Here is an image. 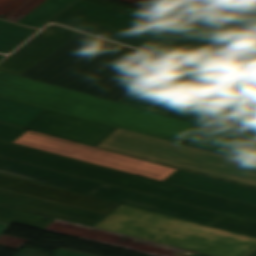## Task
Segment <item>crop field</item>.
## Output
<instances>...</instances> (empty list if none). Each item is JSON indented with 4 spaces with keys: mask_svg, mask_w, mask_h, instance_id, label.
Segmentation results:
<instances>
[{
    "mask_svg": "<svg viewBox=\"0 0 256 256\" xmlns=\"http://www.w3.org/2000/svg\"><path fill=\"white\" fill-rule=\"evenodd\" d=\"M21 76L164 115L221 77L83 33Z\"/></svg>",
    "mask_w": 256,
    "mask_h": 256,
    "instance_id": "obj_1",
    "label": "crop field"
},
{
    "mask_svg": "<svg viewBox=\"0 0 256 256\" xmlns=\"http://www.w3.org/2000/svg\"><path fill=\"white\" fill-rule=\"evenodd\" d=\"M0 96L171 141L194 138L207 128L3 71Z\"/></svg>",
    "mask_w": 256,
    "mask_h": 256,
    "instance_id": "obj_2",
    "label": "crop field"
},
{
    "mask_svg": "<svg viewBox=\"0 0 256 256\" xmlns=\"http://www.w3.org/2000/svg\"><path fill=\"white\" fill-rule=\"evenodd\" d=\"M96 228L211 256H248L256 239L121 205Z\"/></svg>",
    "mask_w": 256,
    "mask_h": 256,
    "instance_id": "obj_3",
    "label": "crop field"
},
{
    "mask_svg": "<svg viewBox=\"0 0 256 256\" xmlns=\"http://www.w3.org/2000/svg\"><path fill=\"white\" fill-rule=\"evenodd\" d=\"M0 156L28 162L195 206L256 220V206L246 205L98 165L0 140Z\"/></svg>",
    "mask_w": 256,
    "mask_h": 256,
    "instance_id": "obj_4",
    "label": "crop field"
},
{
    "mask_svg": "<svg viewBox=\"0 0 256 256\" xmlns=\"http://www.w3.org/2000/svg\"><path fill=\"white\" fill-rule=\"evenodd\" d=\"M131 15L190 34L157 53L256 82V45L142 7Z\"/></svg>",
    "mask_w": 256,
    "mask_h": 256,
    "instance_id": "obj_5",
    "label": "crop field"
},
{
    "mask_svg": "<svg viewBox=\"0 0 256 256\" xmlns=\"http://www.w3.org/2000/svg\"><path fill=\"white\" fill-rule=\"evenodd\" d=\"M98 147L256 187V165L118 128Z\"/></svg>",
    "mask_w": 256,
    "mask_h": 256,
    "instance_id": "obj_6",
    "label": "crop field"
},
{
    "mask_svg": "<svg viewBox=\"0 0 256 256\" xmlns=\"http://www.w3.org/2000/svg\"><path fill=\"white\" fill-rule=\"evenodd\" d=\"M0 173L211 225L221 214L0 158Z\"/></svg>",
    "mask_w": 256,
    "mask_h": 256,
    "instance_id": "obj_7",
    "label": "crop field"
},
{
    "mask_svg": "<svg viewBox=\"0 0 256 256\" xmlns=\"http://www.w3.org/2000/svg\"><path fill=\"white\" fill-rule=\"evenodd\" d=\"M53 21L158 51L188 34L80 0Z\"/></svg>",
    "mask_w": 256,
    "mask_h": 256,
    "instance_id": "obj_8",
    "label": "crop field"
},
{
    "mask_svg": "<svg viewBox=\"0 0 256 256\" xmlns=\"http://www.w3.org/2000/svg\"><path fill=\"white\" fill-rule=\"evenodd\" d=\"M13 143L160 181H164L176 171V169L67 142L30 131L16 139Z\"/></svg>",
    "mask_w": 256,
    "mask_h": 256,
    "instance_id": "obj_9",
    "label": "crop field"
},
{
    "mask_svg": "<svg viewBox=\"0 0 256 256\" xmlns=\"http://www.w3.org/2000/svg\"><path fill=\"white\" fill-rule=\"evenodd\" d=\"M256 93V87L220 78L167 116L208 126Z\"/></svg>",
    "mask_w": 256,
    "mask_h": 256,
    "instance_id": "obj_10",
    "label": "crop field"
},
{
    "mask_svg": "<svg viewBox=\"0 0 256 256\" xmlns=\"http://www.w3.org/2000/svg\"><path fill=\"white\" fill-rule=\"evenodd\" d=\"M150 9L256 44V26L186 3L181 0H150Z\"/></svg>",
    "mask_w": 256,
    "mask_h": 256,
    "instance_id": "obj_11",
    "label": "crop field"
},
{
    "mask_svg": "<svg viewBox=\"0 0 256 256\" xmlns=\"http://www.w3.org/2000/svg\"><path fill=\"white\" fill-rule=\"evenodd\" d=\"M26 128L97 146L117 127L44 109Z\"/></svg>",
    "mask_w": 256,
    "mask_h": 256,
    "instance_id": "obj_12",
    "label": "crop field"
},
{
    "mask_svg": "<svg viewBox=\"0 0 256 256\" xmlns=\"http://www.w3.org/2000/svg\"><path fill=\"white\" fill-rule=\"evenodd\" d=\"M45 231L94 240L156 256H195L197 253L110 232L86 228L70 222L54 220Z\"/></svg>",
    "mask_w": 256,
    "mask_h": 256,
    "instance_id": "obj_13",
    "label": "crop field"
},
{
    "mask_svg": "<svg viewBox=\"0 0 256 256\" xmlns=\"http://www.w3.org/2000/svg\"><path fill=\"white\" fill-rule=\"evenodd\" d=\"M0 189L109 215L119 204L0 174Z\"/></svg>",
    "mask_w": 256,
    "mask_h": 256,
    "instance_id": "obj_14",
    "label": "crop field"
},
{
    "mask_svg": "<svg viewBox=\"0 0 256 256\" xmlns=\"http://www.w3.org/2000/svg\"><path fill=\"white\" fill-rule=\"evenodd\" d=\"M78 33L56 25H50L5 59L0 64V70L20 75Z\"/></svg>",
    "mask_w": 256,
    "mask_h": 256,
    "instance_id": "obj_15",
    "label": "crop field"
},
{
    "mask_svg": "<svg viewBox=\"0 0 256 256\" xmlns=\"http://www.w3.org/2000/svg\"><path fill=\"white\" fill-rule=\"evenodd\" d=\"M0 204L94 227L105 215L0 190Z\"/></svg>",
    "mask_w": 256,
    "mask_h": 256,
    "instance_id": "obj_16",
    "label": "crop field"
},
{
    "mask_svg": "<svg viewBox=\"0 0 256 256\" xmlns=\"http://www.w3.org/2000/svg\"><path fill=\"white\" fill-rule=\"evenodd\" d=\"M186 146L229 156L256 164V140L208 127L201 138H195Z\"/></svg>",
    "mask_w": 256,
    "mask_h": 256,
    "instance_id": "obj_17",
    "label": "crop field"
},
{
    "mask_svg": "<svg viewBox=\"0 0 256 256\" xmlns=\"http://www.w3.org/2000/svg\"><path fill=\"white\" fill-rule=\"evenodd\" d=\"M164 182L188 187L214 195L256 205V190L179 171L177 170Z\"/></svg>",
    "mask_w": 256,
    "mask_h": 256,
    "instance_id": "obj_18",
    "label": "crop field"
},
{
    "mask_svg": "<svg viewBox=\"0 0 256 256\" xmlns=\"http://www.w3.org/2000/svg\"><path fill=\"white\" fill-rule=\"evenodd\" d=\"M256 126V95L211 127L243 135ZM244 136V135H243Z\"/></svg>",
    "mask_w": 256,
    "mask_h": 256,
    "instance_id": "obj_19",
    "label": "crop field"
},
{
    "mask_svg": "<svg viewBox=\"0 0 256 256\" xmlns=\"http://www.w3.org/2000/svg\"><path fill=\"white\" fill-rule=\"evenodd\" d=\"M256 25V8L235 0H184Z\"/></svg>",
    "mask_w": 256,
    "mask_h": 256,
    "instance_id": "obj_20",
    "label": "crop field"
},
{
    "mask_svg": "<svg viewBox=\"0 0 256 256\" xmlns=\"http://www.w3.org/2000/svg\"><path fill=\"white\" fill-rule=\"evenodd\" d=\"M43 108L0 97V121L25 127Z\"/></svg>",
    "mask_w": 256,
    "mask_h": 256,
    "instance_id": "obj_21",
    "label": "crop field"
},
{
    "mask_svg": "<svg viewBox=\"0 0 256 256\" xmlns=\"http://www.w3.org/2000/svg\"><path fill=\"white\" fill-rule=\"evenodd\" d=\"M75 0H47L18 23L39 28Z\"/></svg>",
    "mask_w": 256,
    "mask_h": 256,
    "instance_id": "obj_22",
    "label": "crop field"
},
{
    "mask_svg": "<svg viewBox=\"0 0 256 256\" xmlns=\"http://www.w3.org/2000/svg\"><path fill=\"white\" fill-rule=\"evenodd\" d=\"M36 30L0 21V51L8 53Z\"/></svg>",
    "mask_w": 256,
    "mask_h": 256,
    "instance_id": "obj_23",
    "label": "crop field"
},
{
    "mask_svg": "<svg viewBox=\"0 0 256 256\" xmlns=\"http://www.w3.org/2000/svg\"><path fill=\"white\" fill-rule=\"evenodd\" d=\"M0 220L43 230L53 219L0 207Z\"/></svg>",
    "mask_w": 256,
    "mask_h": 256,
    "instance_id": "obj_24",
    "label": "crop field"
},
{
    "mask_svg": "<svg viewBox=\"0 0 256 256\" xmlns=\"http://www.w3.org/2000/svg\"><path fill=\"white\" fill-rule=\"evenodd\" d=\"M213 226L249 234L256 236V223L227 216L221 215L213 224Z\"/></svg>",
    "mask_w": 256,
    "mask_h": 256,
    "instance_id": "obj_25",
    "label": "crop field"
},
{
    "mask_svg": "<svg viewBox=\"0 0 256 256\" xmlns=\"http://www.w3.org/2000/svg\"><path fill=\"white\" fill-rule=\"evenodd\" d=\"M44 1L45 0H26L16 10H14L12 13H10L8 16H6L5 19L12 21L14 19V17L20 13L27 15L28 13H30L32 10H34L36 7H38Z\"/></svg>",
    "mask_w": 256,
    "mask_h": 256,
    "instance_id": "obj_26",
    "label": "crop field"
},
{
    "mask_svg": "<svg viewBox=\"0 0 256 256\" xmlns=\"http://www.w3.org/2000/svg\"><path fill=\"white\" fill-rule=\"evenodd\" d=\"M27 130L11 127L0 123V139L6 141H14L16 138L24 134Z\"/></svg>",
    "mask_w": 256,
    "mask_h": 256,
    "instance_id": "obj_27",
    "label": "crop field"
},
{
    "mask_svg": "<svg viewBox=\"0 0 256 256\" xmlns=\"http://www.w3.org/2000/svg\"><path fill=\"white\" fill-rule=\"evenodd\" d=\"M27 242H28L27 240L9 237V236H5V235H2L0 237V246L11 248V249H16V250H19Z\"/></svg>",
    "mask_w": 256,
    "mask_h": 256,
    "instance_id": "obj_28",
    "label": "crop field"
},
{
    "mask_svg": "<svg viewBox=\"0 0 256 256\" xmlns=\"http://www.w3.org/2000/svg\"><path fill=\"white\" fill-rule=\"evenodd\" d=\"M54 253L56 256H90V255L72 252V251H68V250H64V249H59Z\"/></svg>",
    "mask_w": 256,
    "mask_h": 256,
    "instance_id": "obj_29",
    "label": "crop field"
},
{
    "mask_svg": "<svg viewBox=\"0 0 256 256\" xmlns=\"http://www.w3.org/2000/svg\"><path fill=\"white\" fill-rule=\"evenodd\" d=\"M13 224L0 221V234H3L7 229H9Z\"/></svg>",
    "mask_w": 256,
    "mask_h": 256,
    "instance_id": "obj_30",
    "label": "crop field"
},
{
    "mask_svg": "<svg viewBox=\"0 0 256 256\" xmlns=\"http://www.w3.org/2000/svg\"><path fill=\"white\" fill-rule=\"evenodd\" d=\"M244 136L256 139V127L254 129H252L251 131H249L248 133H246Z\"/></svg>",
    "mask_w": 256,
    "mask_h": 256,
    "instance_id": "obj_31",
    "label": "crop field"
},
{
    "mask_svg": "<svg viewBox=\"0 0 256 256\" xmlns=\"http://www.w3.org/2000/svg\"><path fill=\"white\" fill-rule=\"evenodd\" d=\"M237 1H240V2H243V3H246L248 5L256 7V0H237Z\"/></svg>",
    "mask_w": 256,
    "mask_h": 256,
    "instance_id": "obj_32",
    "label": "crop field"
},
{
    "mask_svg": "<svg viewBox=\"0 0 256 256\" xmlns=\"http://www.w3.org/2000/svg\"><path fill=\"white\" fill-rule=\"evenodd\" d=\"M250 256H256V251L253 254H251Z\"/></svg>",
    "mask_w": 256,
    "mask_h": 256,
    "instance_id": "obj_33",
    "label": "crop field"
},
{
    "mask_svg": "<svg viewBox=\"0 0 256 256\" xmlns=\"http://www.w3.org/2000/svg\"><path fill=\"white\" fill-rule=\"evenodd\" d=\"M197 256H205V255L198 254Z\"/></svg>",
    "mask_w": 256,
    "mask_h": 256,
    "instance_id": "obj_34",
    "label": "crop field"
},
{
    "mask_svg": "<svg viewBox=\"0 0 256 256\" xmlns=\"http://www.w3.org/2000/svg\"><path fill=\"white\" fill-rule=\"evenodd\" d=\"M3 58V56H0V59Z\"/></svg>",
    "mask_w": 256,
    "mask_h": 256,
    "instance_id": "obj_35",
    "label": "crop field"
},
{
    "mask_svg": "<svg viewBox=\"0 0 256 256\" xmlns=\"http://www.w3.org/2000/svg\"><path fill=\"white\" fill-rule=\"evenodd\" d=\"M1 236V235H0Z\"/></svg>",
    "mask_w": 256,
    "mask_h": 256,
    "instance_id": "obj_36",
    "label": "crop field"
}]
</instances>
